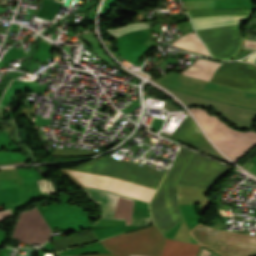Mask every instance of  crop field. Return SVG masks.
<instances>
[{
  "instance_id": "obj_6",
  "label": "crop field",
  "mask_w": 256,
  "mask_h": 256,
  "mask_svg": "<svg viewBox=\"0 0 256 256\" xmlns=\"http://www.w3.org/2000/svg\"><path fill=\"white\" fill-rule=\"evenodd\" d=\"M228 167L194 153L178 184L208 189Z\"/></svg>"
},
{
  "instance_id": "obj_1",
  "label": "crop field",
  "mask_w": 256,
  "mask_h": 256,
  "mask_svg": "<svg viewBox=\"0 0 256 256\" xmlns=\"http://www.w3.org/2000/svg\"><path fill=\"white\" fill-rule=\"evenodd\" d=\"M71 169L94 173L154 189H157L164 177V173L104 157ZM74 170L68 169L65 171L86 188L105 189L146 202L150 200L155 192L154 189Z\"/></svg>"
},
{
  "instance_id": "obj_13",
  "label": "crop field",
  "mask_w": 256,
  "mask_h": 256,
  "mask_svg": "<svg viewBox=\"0 0 256 256\" xmlns=\"http://www.w3.org/2000/svg\"><path fill=\"white\" fill-rule=\"evenodd\" d=\"M189 34H193V33H189ZM189 34H186L178 38L172 44L190 51H194V52L209 56L204 45L200 42L199 38Z\"/></svg>"
},
{
  "instance_id": "obj_9",
  "label": "crop field",
  "mask_w": 256,
  "mask_h": 256,
  "mask_svg": "<svg viewBox=\"0 0 256 256\" xmlns=\"http://www.w3.org/2000/svg\"><path fill=\"white\" fill-rule=\"evenodd\" d=\"M254 9H220V10H192L187 11L190 18L199 16H213V15H252ZM228 15V16H213V17H200L191 19L195 30L217 27L222 25L238 24L245 16Z\"/></svg>"
},
{
  "instance_id": "obj_12",
  "label": "crop field",
  "mask_w": 256,
  "mask_h": 256,
  "mask_svg": "<svg viewBox=\"0 0 256 256\" xmlns=\"http://www.w3.org/2000/svg\"><path fill=\"white\" fill-rule=\"evenodd\" d=\"M219 65V63L199 59L182 73L188 76L210 81L215 69Z\"/></svg>"
},
{
  "instance_id": "obj_7",
  "label": "crop field",
  "mask_w": 256,
  "mask_h": 256,
  "mask_svg": "<svg viewBox=\"0 0 256 256\" xmlns=\"http://www.w3.org/2000/svg\"><path fill=\"white\" fill-rule=\"evenodd\" d=\"M50 234V228L35 207L20 214L12 236L26 244L42 245L48 240Z\"/></svg>"
},
{
  "instance_id": "obj_14",
  "label": "crop field",
  "mask_w": 256,
  "mask_h": 256,
  "mask_svg": "<svg viewBox=\"0 0 256 256\" xmlns=\"http://www.w3.org/2000/svg\"><path fill=\"white\" fill-rule=\"evenodd\" d=\"M149 27V24L147 23H133V24H128V25H124V26H120V27H116V28H110L107 29L109 34L113 35L114 37H119L127 32L130 31H134V30H138V29H142V28H146Z\"/></svg>"
},
{
  "instance_id": "obj_4",
  "label": "crop field",
  "mask_w": 256,
  "mask_h": 256,
  "mask_svg": "<svg viewBox=\"0 0 256 256\" xmlns=\"http://www.w3.org/2000/svg\"><path fill=\"white\" fill-rule=\"evenodd\" d=\"M164 237L154 226L121 234L104 241L103 246L113 252L128 255L159 256ZM88 256H126L118 254H95Z\"/></svg>"
},
{
  "instance_id": "obj_15",
  "label": "crop field",
  "mask_w": 256,
  "mask_h": 256,
  "mask_svg": "<svg viewBox=\"0 0 256 256\" xmlns=\"http://www.w3.org/2000/svg\"><path fill=\"white\" fill-rule=\"evenodd\" d=\"M196 150H199L201 152H204L214 158H217L221 161H224L230 165H232L231 163H229L224 157H222L218 152H216L208 143H206L205 141H203L202 139L199 138V140L196 143ZM203 153V154H204Z\"/></svg>"
},
{
  "instance_id": "obj_8",
  "label": "crop field",
  "mask_w": 256,
  "mask_h": 256,
  "mask_svg": "<svg viewBox=\"0 0 256 256\" xmlns=\"http://www.w3.org/2000/svg\"><path fill=\"white\" fill-rule=\"evenodd\" d=\"M84 191L95 203L100 205L101 219L126 220V225L131 224L134 200L105 191L93 189Z\"/></svg>"
},
{
  "instance_id": "obj_5",
  "label": "crop field",
  "mask_w": 256,
  "mask_h": 256,
  "mask_svg": "<svg viewBox=\"0 0 256 256\" xmlns=\"http://www.w3.org/2000/svg\"><path fill=\"white\" fill-rule=\"evenodd\" d=\"M190 233L193 238L197 239L256 246V235L221 231L201 224L191 229ZM197 239L195 240L198 243L217 251L222 256H256V247Z\"/></svg>"
},
{
  "instance_id": "obj_11",
  "label": "crop field",
  "mask_w": 256,
  "mask_h": 256,
  "mask_svg": "<svg viewBox=\"0 0 256 256\" xmlns=\"http://www.w3.org/2000/svg\"><path fill=\"white\" fill-rule=\"evenodd\" d=\"M198 247L197 245L166 239L161 256H195Z\"/></svg>"
},
{
  "instance_id": "obj_2",
  "label": "crop field",
  "mask_w": 256,
  "mask_h": 256,
  "mask_svg": "<svg viewBox=\"0 0 256 256\" xmlns=\"http://www.w3.org/2000/svg\"><path fill=\"white\" fill-rule=\"evenodd\" d=\"M191 155L192 152L181 149L154 197H175L177 179ZM150 210L154 222L163 234L183 220L175 198H152Z\"/></svg>"
},
{
  "instance_id": "obj_10",
  "label": "crop field",
  "mask_w": 256,
  "mask_h": 256,
  "mask_svg": "<svg viewBox=\"0 0 256 256\" xmlns=\"http://www.w3.org/2000/svg\"><path fill=\"white\" fill-rule=\"evenodd\" d=\"M200 134L201 132L198 126L188 114L178 129L175 131V133L172 135L171 139L194 148Z\"/></svg>"
},
{
  "instance_id": "obj_16",
  "label": "crop field",
  "mask_w": 256,
  "mask_h": 256,
  "mask_svg": "<svg viewBox=\"0 0 256 256\" xmlns=\"http://www.w3.org/2000/svg\"><path fill=\"white\" fill-rule=\"evenodd\" d=\"M197 256H219V255L217 253L201 246Z\"/></svg>"
},
{
  "instance_id": "obj_3",
  "label": "crop field",
  "mask_w": 256,
  "mask_h": 256,
  "mask_svg": "<svg viewBox=\"0 0 256 256\" xmlns=\"http://www.w3.org/2000/svg\"><path fill=\"white\" fill-rule=\"evenodd\" d=\"M191 111L212 141L232 160L236 161L256 145V133L237 132L217 117L208 116L204 110L191 109Z\"/></svg>"
}]
</instances>
